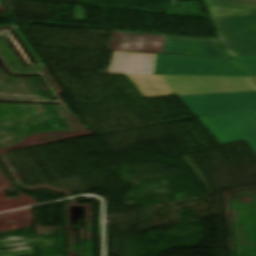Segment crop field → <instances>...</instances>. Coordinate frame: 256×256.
Here are the masks:
<instances>
[{"mask_svg":"<svg viewBox=\"0 0 256 256\" xmlns=\"http://www.w3.org/2000/svg\"><path fill=\"white\" fill-rule=\"evenodd\" d=\"M256 79V77H254Z\"/></svg>","mask_w":256,"mask_h":256,"instance_id":"3316defc","label":"crop field"},{"mask_svg":"<svg viewBox=\"0 0 256 256\" xmlns=\"http://www.w3.org/2000/svg\"><path fill=\"white\" fill-rule=\"evenodd\" d=\"M144 98L255 91L252 78L126 75Z\"/></svg>","mask_w":256,"mask_h":256,"instance_id":"ac0d7876","label":"crop field"},{"mask_svg":"<svg viewBox=\"0 0 256 256\" xmlns=\"http://www.w3.org/2000/svg\"><path fill=\"white\" fill-rule=\"evenodd\" d=\"M214 21L223 49L233 58L256 53V9Z\"/></svg>","mask_w":256,"mask_h":256,"instance_id":"412701ff","label":"crop field"},{"mask_svg":"<svg viewBox=\"0 0 256 256\" xmlns=\"http://www.w3.org/2000/svg\"><path fill=\"white\" fill-rule=\"evenodd\" d=\"M235 60L239 62L253 76H256V54L236 58Z\"/></svg>","mask_w":256,"mask_h":256,"instance_id":"5a996713","label":"crop field"},{"mask_svg":"<svg viewBox=\"0 0 256 256\" xmlns=\"http://www.w3.org/2000/svg\"><path fill=\"white\" fill-rule=\"evenodd\" d=\"M166 54L231 59L217 41L166 36Z\"/></svg>","mask_w":256,"mask_h":256,"instance_id":"e52e79f7","label":"crop field"},{"mask_svg":"<svg viewBox=\"0 0 256 256\" xmlns=\"http://www.w3.org/2000/svg\"><path fill=\"white\" fill-rule=\"evenodd\" d=\"M108 73L250 77L232 60L113 52Z\"/></svg>","mask_w":256,"mask_h":256,"instance_id":"8a807250","label":"crop field"},{"mask_svg":"<svg viewBox=\"0 0 256 256\" xmlns=\"http://www.w3.org/2000/svg\"><path fill=\"white\" fill-rule=\"evenodd\" d=\"M198 119L221 145L245 140L256 154V107Z\"/></svg>","mask_w":256,"mask_h":256,"instance_id":"34b2d1b8","label":"crop field"},{"mask_svg":"<svg viewBox=\"0 0 256 256\" xmlns=\"http://www.w3.org/2000/svg\"><path fill=\"white\" fill-rule=\"evenodd\" d=\"M196 116H204L256 106V92L180 97Z\"/></svg>","mask_w":256,"mask_h":256,"instance_id":"f4fd0767","label":"crop field"},{"mask_svg":"<svg viewBox=\"0 0 256 256\" xmlns=\"http://www.w3.org/2000/svg\"><path fill=\"white\" fill-rule=\"evenodd\" d=\"M205 1L210 9L213 19L256 8V0H205Z\"/></svg>","mask_w":256,"mask_h":256,"instance_id":"d8731c3e","label":"crop field"},{"mask_svg":"<svg viewBox=\"0 0 256 256\" xmlns=\"http://www.w3.org/2000/svg\"><path fill=\"white\" fill-rule=\"evenodd\" d=\"M109 50L165 54V36L113 32Z\"/></svg>","mask_w":256,"mask_h":256,"instance_id":"dd49c442","label":"crop field"}]
</instances>
